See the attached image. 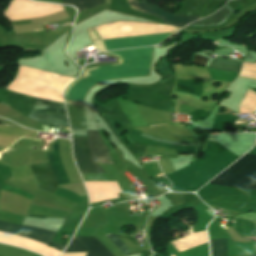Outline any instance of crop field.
<instances>
[{"label":"crop field","mask_w":256,"mask_h":256,"mask_svg":"<svg viewBox=\"0 0 256 256\" xmlns=\"http://www.w3.org/2000/svg\"><path fill=\"white\" fill-rule=\"evenodd\" d=\"M128 5L130 8L136 11L158 16L163 20L164 23L178 27H181L185 24H189L197 19H200L199 16H175L145 1L139 3L136 0H128Z\"/></svg>","instance_id":"crop-field-8"},{"label":"crop field","mask_w":256,"mask_h":256,"mask_svg":"<svg viewBox=\"0 0 256 256\" xmlns=\"http://www.w3.org/2000/svg\"><path fill=\"white\" fill-rule=\"evenodd\" d=\"M71 129H88L83 104H66Z\"/></svg>","instance_id":"crop-field-13"},{"label":"crop field","mask_w":256,"mask_h":256,"mask_svg":"<svg viewBox=\"0 0 256 256\" xmlns=\"http://www.w3.org/2000/svg\"><path fill=\"white\" fill-rule=\"evenodd\" d=\"M103 36H122L170 32L174 28L162 25L118 22L101 26ZM168 33L104 38L109 50L153 45Z\"/></svg>","instance_id":"crop-field-3"},{"label":"crop field","mask_w":256,"mask_h":256,"mask_svg":"<svg viewBox=\"0 0 256 256\" xmlns=\"http://www.w3.org/2000/svg\"><path fill=\"white\" fill-rule=\"evenodd\" d=\"M116 100L131 122L132 126L145 125L135 103L123 100L121 98H116Z\"/></svg>","instance_id":"crop-field-14"},{"label":"crop field","mask_w":256,"mask_h":256,"mask_svg":"<svg viewBox=\"0 0 256 256\" xmlns=\"http://www.w3.org/2000/svg\"><path fill=\"white\" fill-rule=\"evenodd\" d=\"M207 61H208L207 58L196 54L192 64L201 65L205 67Z\"/></svg>","instance_id":"crop-field-21"},{"label":"crop field","mask_w":256,"mask_h":256,"mask_svg":"<svg viewBox=\"0 0 256 256\" xmlns=\"http://www.w3.org/2000/svg\"><path fill=\"white\" fill-rule=\"evenodd\" d=\"M240 65L241 63L230 62L220 57H216L215 59H213L211 65L208 66V68H214V69L238 73L240 69ZM208 68L207 70L212 79L231 82L237 76L236 73H230V72L219 71V70L208 69Z\"/></svg>","instance_id":"crop-field-9"},{"label":"crop field","mask_w":256,"mask_h":256,"mask_svg":"<svg viewBox=\"0 0 256 256\" xmlns=\"http://www.w3.org/2000/svg\"><path fill=\"white\" fill-rule=\"evenodd\" d=\"M82 241L89 250L87 256H114L95 238L76 237Z\"/></svg>","instance_id":"crop-field-16"},{"label":"crop field","mask_w":256,"mask_h":256,"mask_svg":"<svg viewBox=\"0 0 256 256\" xmlns=\"http://www.w3.org/2000/svg\"><path fill=\"white\" fill-rule=\"evenodd\" d=\"M211 256H227L226 239L210 240ZM256 256V255H253Z\"/></svg>","instance_id":"crop-field-18"},{"label":"crop field","mask_w":256,"mask_h":256,"mask_svg":"<svg viewBox=\"0 0 256 256\" xmlns=\"http://www.w3.org/2000/svg\"><path fill=\"white\" fill-rule=\"evenodd\" d=\"M155 163H157V162H153V163H151V164H155Z\"/></svg>","instance_id":"crop-field-23"},{"label":"crop field","mask_w":256,"mask_h":256,"mask_svg":"<svg viewBox=\"0 0 256 256\" xmlns=\"http://www.w3.org/2000/svg\"><path fill=\"white\" fill-rule=\"evenodd\" d=\"M163 125V124H162ZM143 132L137 131V130H132L130 134V138L138 144H144V145H151V146H159V147H165V148H170L174 150H186V151H194V147H185V146H175V145H169V144H163L159 142H164V143H170V144H176V145H186V146H195L196 143H178V142H172V141H166L162 139L155 138L149 134L144 133L143 136L148 137L152 140L159 141L155 142L150 139H147L143 136H141Z\"/></svg>","instance_id":"crop-field-10"},{"label":"crop field","mask_w":256,"mask_h":256,"mask_svg":"<svg viewBox=\"0 0 256 256\" xmlns=\"http://www.w3.org/2000/svg\"><path fill=\"white\" fill-rule=\"evenodd\" d=\"M64 252H88L86 247L83 246L75 237L69 247Z\"/></svg>","instance_id":"crop-field-19"},{"label":"crop field","mask_w":256,"mask_h":256,"mask_svg":"<svg viewBox=\"0 0 256 256\" xmlns=\"http://www.w3.org/2000/svg\"><path fill=\"white\" fill-rule=\"evenodd\" d=\"M226 171L256 175V155L246 154ZM227 172L221 173L209 183L256 190V176Z\"/></svg>","instance_id":"crop-field-6"},{"label":"crop field","mask_w":256,"mask_h":256,"mask_svg":"<svg viewBox=\"0 0 256 256\" xmlns=\"http://www.w3.org/2000/svg\"><path fill=\"white\" fill-rule=\"evenodd\" d=\"M38 188L54 193L57 188L56 180L52 174L49 163L30 166Z\"/></svg>","instance_id":"crop-field-11"},{"label":"crop field","mask_w":256,"mask_h":256,"mask_svg":"<svg viewBox=\"0 0 256 256\" xmlns=\"http://www.w3.org/2000/svg\"><path fill=\"white\" fill-rule=\"evenodd\" d=\"M63 4L74 5L78 11L86 10L95 7L103 2L104 0H62Z\"/></svg>","instance_id":"crop-field-17"},{"label":"crop field","mask_w":256,"mask_h":256,"mask_svg":"<svg viewBox=\"0 0 256 256\" xmlns=\"http://www.w3.org/2000/svg\"><path fill=\"white\" fill-rule=\"evenodd\" d=\"M154 49L155 47H148L113 51L125 53L127 64L102 68L86 74L71 88L69 100H82L90 87L103 79L148 75Z\"/></svg>","instance_id":"crop-field-1"},{"label":"crop field","mask_w":256,"mask_h":256,"mask_svg":"<svg viewBox=\"0 0 256 256\" xmlns=\"http://www.w3.org/2000/svg\"><path fill=\"white\" fill-rule=\"evenodd\" d=\"M41 124L57 125L69 128L64 103L36 99V103L28 115Z\"/></svg>","instance_id":"crop-field-7"},{"label":"crop field","mask_w":256,"mask_h":256,"mask_svg":"<svg viewBox=\"0 0 256 256\" xmlns=\"http://www.w3.org/2000/svg\"><path fill=\"white\" fill-rule=\"evenodd\" d=\"M111 242L117 247L119 248L122 253L126 256L129 254V250L128 248L116 237L115 234H111V236H107Z\"/></svg>","instance_id":"crop-field-20"},{"label":"crop field","mask_w":256,"mask_h":256,"mask_svg":"<svg viewBox=\"0 0 256 256\" xmlns=\"http://www.w3.org/2000/svg\"><path fill=\"white\" fill-rule=\"evenodd\" d=\"M0 231L10 234H15L23 237H28L36 240H41L51 243L55 236L56 232L47 231L43 229H38L29 226H19L11 223L1 222L0 221ZM0 232V242L20 246L38 253H41L45 256H58L62 250L65 248L63 246L49 244L41 241H36L28 238H23L19 236H14L6 233Z\"/></svg>","instance_id":"crop-field-4"},{"label":"crop field","mask_w":256,"mask_h":256,"mask_svg":"<svg viewBox=\"0 0 256 256\" xmlns=\"http://www.w3.org/2000/svg\"><path fill=\"white\" fill-rule=\"evenodd\" d=\"M87 140L98 173H106L96 162L110 163L108 149L98 131L88 130ZM86 137H73L74 158L81 173H97L88 152Z\"/></svg>","instance_id":"crop-field-5"},{"label":"crop field","mask_w":256,"mask_h":256,"mask_svg":"<svg viewBox=\"0 0 256 256\" xmlns=\"http://www.w3.org/2000/svg\"><path fill=\"white\" fill-rule=\"evenodd\" d=\"M40 30H42V29H38V30H36V31H40Z\"/></svg>","instance_id":"crop-field-24"},{"label":"crop field","mask_w":256,"mask_h":256,"mask_svg":"<svg viewBox=\"0 0 256 256\" xmlns=\"http://www.w3.org/2000/svg\"><path fill=\"white\" fill-rule=\"evenodd\" d=\"M58 143L59 141L53 144V152L47 153V156L50 161L51 169L57 179L58 185H61V184L69 183L70 181L61 164Z\"/></svg>","instance_id":"crop-field-12"},{"label":"crop field","mask_w":256,"mask_h":256,"mask_svg":"<svg viewBox=\"0 0 256 256\" xmlns=\"http://www.w3.org/2000/svg\"><path fill=\"white\" fill-rule=\"evenodd\" d=\"M211 134L219 135L220 133H215V132H212Z\"/></svg>","instance_id":"crop-field-22"},{"label":"crop field","mask_w":256,"mask_h":256,"mask_svg":"<svg viewBox=\"0 0 256 256\" xmlns=\"http://www.w3.org/2000/svg\"><path fill=\"white\" fill-rule=\"evenodd\" d=\"M233 11L231 8L226 4L221 10H219L214 15L205 18L203 20H200L198 22H194L190 25L193 26H216L224 23L228 17L231 15Z\"/></svg>","instance_id":"crop-field-15"},{"label":"crop field","mask_w":256,"mask_h":256,"mask_svg":"<svg viewBox=\"0 0 256 256\" xmlns=\"http://www.w3.org/2000/svg\"><path fill=\"white\" fill-rule=\"evenodd\" d=\"M72 77L19 66L18 75L7 90L52 101H63L62 93Z\"/></svg>","instance_id":"crop-field-2"}]
</instances>
